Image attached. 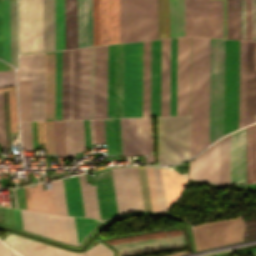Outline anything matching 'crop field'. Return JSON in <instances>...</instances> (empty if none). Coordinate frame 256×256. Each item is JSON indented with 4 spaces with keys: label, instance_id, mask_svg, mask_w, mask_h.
<instances>
[{
    "label": "crop field",
    "instance_id": "crop-field-16",
    "mask_svg": "<svg viewBox=\"0 0 256 256\" xmlns=\"http://www.w3.org/2000/svg\"><path fill=\"white\" fill-rule=\"evenodd\" d=\"M246 128L230 134V184L245 183Z\"/></svg>",
    "mask_w": 256,
    "mask_h": 256
},
{
    "label": "crop field",
    "instance_id": "crop-field-18",
    "mask_svg": "<svg viewBox=\"0 0 256 256\" xmlns=\"http://www.w3.org/2000/svg\"><path fill=\"white\" fill-rule=\"evenodd\" d=\"M161 40L151 41L150 116H160Z\"/></svg>",
    "mask_w": 256,
    "mask_h": 256
},
{
    "label": "crop field",
    "instance_id": "crop-field-54",
    "mask_svg": "<svg viewBox=\"0 0 256 256\" xmlns=\"http://www.w3.org/2000/svg\"><path fill=\"white\" fill-rule=\"evenodd\" d=\"M46 154H56L54 123H45Z\"/></svg>",
    "mask_w": 256,
    "mask_h": 256
},
{
    "label": "crop field",
    "instance_id": "crop-field-28",
    "mask_svg": "<svg viewBox=\"0 0 256 256\" xmlns=\"http://www.w3.org/2000/svg\"><path fill=\"white\" fill-rule=\"evenodd\" d=\"M256 182V124L247 128L246 183Z\"/></svg>",
    "mask_w": 256,
    "mask_h": 256
},
{
    "label": "crop field",
    "instance_id": "crop-field-23",
    "mask_svg": "<svg viewBox=\"0 0 256 256\" xmlns=\"http://www.w3.org/2000/svg\"><path fill=\"white\" fill-rule=\"evenodd\" d=\"M63 181L68 215L84 216L78 176Z\"/></svg>",
    "mask_w": 256,
    "mask_h": 256
},
{
    "label": "crop field",
    "instance_id": "crop-field-49",
    "mask_svg": "<svg viewBox=\"0 0 256 256\" xmlns=\"http://www.w3.org/2000/svg\"><path fill=\"white\" fill-rule=\"evenodd\" d=\"M51 185L56 213L67 215L61 179L51 182Z\"/></svg>",
    "mask_w": 256,
    "mask_h": 256
},
{
    "label": "crop field",
    "instance_id": "crop-field-15",
    "mask_svg": "<svg viewBox=\"0 0 256 256\" xmlns=\"http://www.w3.org/2000/svg\"><path fill=\"white\" fill-rule=\"evenodd\" d=\"M100 217L118 215L110 169L93 172Z\"/></svg>",
    "mask_w": 256,
    "mask_h": 256
},
{
    "label": "crop field",
    "instance_id": "crop-field-57",
    "mask_svg": "<svg viewBox=\"0 0 256 256\" xmlns=\"http://www.w3.org/2000/svg\"><path fill=\"white\" fill-rule=\"evenodd\" d=\"M144 127H145L146 164H153L149 118H144Z\"/></svg>",
    "mask_w": 256,
    "mask_h": 256
},
{
    "label": "crop field",
    "instance_id": "crop-field-71",
    "mask_svg": "<svg viewBox=\"0 0 256 256\" xmlns=\"http://www.w3.org/2000/svg\"><path fill=\"white\" fill-rule=\"evenodd\" d=\"M17 256H20V255L17 254Z\"/></svg>",
    "mask_w": 256,
    "mask_h": 256
},
{
    "label": "crop field",
    "instance_id": "crop-field-13",
    "mask_svg": "<svg viewBox=\"0 0 256 256\" xmlns=\"http://www.w3.org/2000/svg\"><path fill=\"white\" fill-rule=\"evenodd\" d=\"M108 46L96 47L95 118H107Z\"/></svg>",
    "mask_w": 256,
    "mask_h": 256
},
{
    "label": "crop field",
    "instance_id": "crop-field-21",
    "mask_svg": "<svg viewBox=\"0 0 256 256\" xmlns=\"http://www.w3.org/2000/svg\"><path fill=\"white\" fill-rule=\"evenodd\" d=\"M170 39L162 40L161 116L169 115Z\"/></svg>",
    "mask_w": 256,
    "mask_h": 256
},
{
    "label": "crop field",
    "instance_id": "crop-field-11",
    "mask_svg": "<svg viewBox=\"0 0 256 256\" xmlns=\"http://www.w3.org/2000/svg\"><path fill=\"white\" fill-rule=\"evenodd\" d=\"M169 37L184 35V0H168ZM167 0H158V38L168 37Z\"/></svg>",
    "mask_w": 256,
    "mask_h": 256
},
{
    "label": "crop field",
    "instance_id": "crop-field-65",
    "mask_svg": "<svg viewBox=\"0 0 256 256\" xmlns=\"http://www.w3.org/2000/svg\"><path fill=\"white\" fill-rule=\"evenodd\" d=\"M0 144L5 146L2 92H0Z\"/></svg>",
    "mask_w": 256,
    "mask_h": 256
},
{
    "label": "crop field",
    "instance_id": "crop-field-61",
    "mask_svg": "<svg viewBox=\"0 0 256 256\" xmlns=\"http://www.w3.org/2000/svg\"><path fill=\"white\" fill-rule=\"evenodd\" d=\"M153 211L159 212L152 168H146Z\"/></svg>",
    "mask_w": 256,
    "mask_h": 256
},
{
    "label": "crop field",
    "instance_id": "crop-field-60",
    "mask_svg": "<svg viewBox=\"0 0 256 256\" xmlns=\"http://www.w3.org/2000/svg\"><path fill=\"white\" fill-rule=\"evenodd\" d=\"M86 255L87 256H113L112 251H110L101 243L83 253H78L74 256H86Z\"/></svg>",
    "mask_w": 256,
    "mask_h": 256
},
{
    "label": "crop field",
    "instance_id": "crop-field-24",
    "mask_svg": "<svg viewBox=\"0 0 256 256\" xmlns=\"http://www.w3.org/2000/svg\"><path fill=\"white\" fill-rule=\"evenodd\" d=\"M21 213L25 231L51 239L47 214L25 210Z\"/></svg>",
    "mask_w": 256,
    "mask_h": 256
},
{
    "label": "crop field",
    "instance_id": "crop-field-6",
    "mask_svg": "<svg viewBox=\"0 0 256 256\" xmlns=\"http://www.w3.org/2000/svg\"><path fill=\"white\" fill-rule=\"evenodd\" d=\"M45 53L19 56L18 79L31 78V120H44Z\"/></svg>",
    "mask_w": 256,
    "mask_h": 256
},
{
    "label": "crop field",
    "instance_id": "crop-field-35",
    "mask_svg": "<svg viewBox=\"0 0 256 256\" xmlns=\"http://www.w3.org/2000/svg\"><path fill=\"white\" fill-rule=\"evenodd\" d=\"M246 41H240L239 128L245 125Z\"/></svg>",
    "mask_w": 256,
    "mask_h": 256
},
{
    "label": "crop field",
    "instance_id": "crop-field-39",
    "mask_svg": "<svg viewBox=\"0 0 256 256\" xmlns=\"http://www.w3.org/2000/svg\"><path fill=\"white\" fill-rule=\"evenodd\" d=\"M56 50L65 49L64 0H55Z\"/></svg>",
    "mask_w": 256,
    "mask_h": 256
},
{
    "label": "crop field",
    "instance_id": "crop-field-8",
    "mask_svg": "<svg viewBox=\"0 0 256 256\" xmlns=\"http://www.w3.org/2000/svg\"><path fill=\"white\" fill-rule=\"evenodd\" d=\"M178 232L179 230L142 234V235L106 240V242L110 244H114V243H120V242H126V241L164 236L167 234L178 233ZM165 244H167V246H165ZM112 246H114L119 251L120 255H123V254H131V253L153 251V250H160V249H167V248L182 247L185 245L181 238V234L178 233V234H172L170 236L114 244Z\"/></svg>",
    "mask_w": 256,
    "mask_h": 256
},
{
    "label": "crop field",
    "instance_id": "crop-field-50",
    "mask_svg": "<svg viewBox=\"0 0 256 256\" xmlns=\"http://www.w3.org/2000/svg\"><path fill=\"white\" fill-rule=\"evenodd\" d=\"M92 144L105 143L104 119L90 120Z\"/></svg>",
    "mask_w": 256,
    "mask_h": 256
},
{
    "label": "crop field",
    "instance_id": "crop-field-66",
    "mask_svg": "<svg viewBox=\"0 0 256 256\" xmlns=\"http://www.w3.org/2000/svg\"><path fill=\"white\" fill-rule=\"evenodd\" d=\"M133 171H134L139 207H140V210H144L137 168H133Z\"/></svg>",
    "mask_w": 256,
    "mask_h": 256
},
{
    "label": "crop field",
    "instance_id": "crop-field-63",
    "mask_svg": "<svg viewBox=\"0 0 256 256\" xmlns=\"http://www.w3.org/2000/svg\"><path fill=\"white\" fill-rule=\"evenodd\" d=\"M15 85L14 71L0 72V88Z\"/></svg>",
    "mask_w": 256,
    "mask_h": 256
},
{
    "label": "crop field",
    "instance_id": "crop-field-26",
    "mask_svg": "<svg viewBox=\"0 0 256 256\" xmlns=\"http://www.w3.org/2000/svg\"><path fill=\"white\" fill-rule=\"evenodd\" d=\"M166 207H168L179 195L184 183L185 178L177 175L172 170L160 169Z\"/></svg>",
    "mask_w": 256,
    "mask_h": 256
},
{
    "label": "crop field",
    "instance_id": "crop-field-41",
    "mask_svg": "<svg viewBox=\"0 0 256 256\" xmlns=\"http://www.w3.org/2000/svg\"><path fill=\"white\" fill-rule=\"evenodd\" d=\"M3 60L10 63L9 0H2Z\"/></svg>",
    "mask_w": 256,
    "mask_h": 256
},
{
    "label": "crop field",
    "instance_id": "crop-field-33",
    "mask_svg": "<svg viewBox=\"0 0 256 256\" xmlns=\"http://www.w3.org/2000/svg\"><path fill=\"white\" fill-rule=\"evenodd\" d=\"M227 38L240 39V0H226Z\"/></svg>",
    "mask_w": 256,
    "mask_h": 256
},
{
    "label": "crop field",
    "instance_id": "crop-field-34",
    "mask_svg": "<svg viewBox=\"0 0 256 256\" xmlns=\"http://www.w3.org/2000/svg\"><path fill=\"white\" fill-rule=\"evenodd\" d=\"M79 179L85 216L100 219L94 186H87L85 174Z\"/></svg>",
    "mask_w": 256,
    "mask_h": 256
},
{
    "label": "crop field",
    "instance_id": "crop-field-40",
    "mask_svg": "<svg viewBox=\"0 0 256 256\" xmlns=\"http://www.w3.org/2000/svg\"><path fill=\"white\" fill-rule=\"evenodd\" d=\"M52 239L69 243L65 216L48 214Z\"/></svg>",
    "mask_w": 256,
    "mask_h": 256
},
{
    "label": "crop field",
    "instance_id": "crop-field-51",
    "mask_svg": "<svg viewBox=\"0 0 256 256\" xmlns=\"http://www.w3.org/2000/svg\"><path fill=\"white\" fill-rule=\"evenodd\" d=\"M2 241L9 245L11 248H13L16 252L35 242L28 238L14 235L11 233Z\"/></svg>",
    "mask_w": 256,
    "mask_h": 256
},
{
    "label": "crop field",
    "instance_id": "crop-field-22",
    "mask_svg": "<svg viewBox=\"0 0 256 256\" xmlns=\"http://www.w3.org/2000/svg\"><path fill=\"white\" fill-rule=\"evenodd\" d=\"M241 39L256 40V0H241Z\"/></svg>",
    "mask_w": 256,
    "mask_h": 256
},
{
    "label": "crop field",
    "instance_id": "crop-field-17",
    "mask_svg": "<svg viewBox=\"0 0 256 256\" xmlns=\"http://www.w3.org/2000/svg\"><path fill=\"white\" fill-rule=\"evenodd\" d=\"M192 161L189 166L191 178ZM192 178L218 183V142L193 159Z\"/></svg>",
    "mask_w": 256,
    "mask_h": 256
},
{
    "label": "crop field",
    "instance_id": "crop-field-10",
    "mask_svg": "<svg viewBox=\"0 0 256 256\" xmlns=\"http://www.w3.org/2000/svg\"><path fill=\"white\" fill-rule=\"evenodd\" d=\"M111 171L119 215L139 210L132 168Z\"/></svg>",
    "mask_w": 256,
    "mask_h": 256
},
{
    "label": "crop field",
    "instance_id": "crop-field-62",
    "mask_svg": "<svg viewBox=\"0 0 256 256\" xmlns=\"http://www.w3.org/2000/svg\"><path fill=\"white\" fill-rule=\"evenodd\" d=\"M94 46L99 45L98 0H93Z\"/></svg>",
    "mask_w": 256,
    "mask_h": 256
},
{
    "label": "crop field",
    "instance_id": "crop-field-42",
    "mask_svg": "<svg viewBox=\"0 0 256 256\" xmlns=\"http://www.w3.org/2000/svg\"><path fill=\"white\" fill-rule=\"evenodd\" d=\"M170 115H176V38L171 39Z\"/></svg>",
    "mask_w": 256,
    "mask_h": 256
},
{
    "label": "crop field",
    "instance_id": "crop-field-3",
    "mask_svg": "<svg viewBox=\"0 0 256 256\" xmlns=\"http://www.w3.org/2000/svg\"><path fill=\"white\" fill-rule=\"evenodd\" d=\"M142 116V42L124 44L123 117Z\"/></svg>",
    "mask_w": 256,
    "mask_h": 256
},
{
    "label": "crop field",
    "instance_id": "crop-field-45",
    "mask_svg": "<svg viewBox=\"0 0 256 256\" xmlns=\"http://www.w3.org/2000/svg\"><path fill=\"white\" fill-rule=\"evenodd\" d=\"M74 219L79 245L95 228H97L101 223H103L102 221H96L85 218L74 217Z\"/></svg>",
    "mask_w": 256,
    "mask_h": 256
},
{
    "label": "crop field",
    "instance_id": "crop-field-4",
    "mask_svg": "<svg viewBox=\"0 0 256 256\" xmlns=\"http://www.w3.org/2000/svg\"><path fill=\"white\" fill-rule=\"evenodd\" d=\"M239 41L225 39L224 135L238 128Z\"/></svg>",
    "mask_w": 256,
    "mask_h": 256
},
{
    "label": "crop field",
    "instance_id": "crop-field-9",
    "mask_svg": "<svg viewBox=\"0 0 256 256\" xmlns=\"http://www.w3.org/2000/svg\"><path fill=\"white\" fill-rule=\"evenodd\" d=\"M123 44L109 46L108 118L122 117Z\"/></svg>",
    "mask_w": 256,
    "mask_h": 256
},
{
    "label": "crop field",
    "instance_id": "crop-field-5",
    "mask_svg": "<svg viewBox=\"0 0 256 256\" xmlns=\"http://www.w3.org/2000/svg\"><path fill=\"white\" fill-rule=\"evenodd\" d=\"M19 54L43 51L42 0H18Z\"/></svg>",
    "mask_w": 256,
    "mask_h": 256
},
{
    "label": "crop field",
    "instance_id": "crop-field-12",
    "mask_svg": "<svg viewBox=\"0 0 256 256\" xmlns=\"http://www.w3.org/2000/svg\"><path fill=\"white\" fill-rule=\"evenodd\" d=\"M185 35L210 36V0H185Z\"/></svg>",
    "mask_w": 256,
    "mask_h": 256
},
{
    "label": "crop field",
    "instance_id": "crop-field-48",
    "mask_svg": "<svg viewBox=\"0 0 256 256\" xmlns=\"http://www.w3.org/2000/svg\"><path fill=\"white\" fill-rule=\"evenodd\" d=\"M211 36L216 37V1L211 0ZM217 37H222V1H217Z\"/></svg>",
    "mask_w": 256,
    "mask_h": 256
},
{
    "label": "crop field",
    "instance_id": "crop-field-44",
    "mask_svg": "<svg viewBox=\"0 0 256 256\" xmlns=\"http://www.w3.org/2000/svg\"><path fill=\"white\" fill-rule=\"evenodd\" d=\"M95 47L89 48V118H94Z\"/></svg>",
    "mask_w": 256,
    "mask_h": 256
},
{
    "label": "crop field",
    "instance_id": "crop-field-70",
    "mask_svg": "<svg viewBox=\"0 0 256 256\" xmlns=\"http://www.w3.org/2000/svg\"><path fill=\"white\" fill-rule=\"evenodd\" d=\"M12 191H13V196H14V200H15V205H16V207L18 208V206H17V201H16V196H15V191H14V189H12Z\"/></svg>",
    "mask_w": 256,
    "mask_h": 256
},
{
    "label": "crop field",
    "instance_id": "crop-field-20",
    "mask_svg": "<svg viewBox=\"0 0 256 256\" xmlns=\"http://www.w3.org/2000/svg\"><path fill=\"white\" fill-rule=\"evenodd\" d=\"M78 47L93 46L92 0H77Z\"/></svg>",
    "mask_w": 256,
    "mask_h": 256
},
{
    "label": "crop field",
    "instance_id": "crop-field-56",
    "mask_svg": "<svg viewBox=\"0 0 256 256\" xmlns=\"http://www.w3.org/2000/svg\"><path fill=\"white\" fill-rule=\"evenodd\" d=\"M138 171L145 210L152 211L145 168H138Z\"/></svg>",
    "mask_w": 256,
    "mask_h": 256
},
{
    "label": "crop field",
    "instance_id": "crop-field-30",
    "mask_svg": "<svg viewBox=\"0 0 256 256\" xmlns=\"http://www.w3.org/2000/svg\"><path fill=\"white\" fill-rule=\"evenodd\" d=\"M66 49L77 47L76 0H65Z\"/></svg>",
    "mask_w": 256,
    "mask_h": 256
},
{
    "label": "crop field",
    "instance_id": "crop-field-46",
    "mask_svg": "<svg viewBox=\"0 0 256 256\" xmlns=\"http://www.w3.org/2000/svg\"><path fill=\"white\" fill-rule=\"evenodd\" d=\"M10 31H11V64L16 68L17 60V28H16V1L10 0Z\"/></svg>",
    "mask_w": 256,
    "mask_h": 256
},
{
    "label": "crop field",
    "instance_id": "crop-field-14",
    "mask_svg": "<svg viewBox=\"0 0 256 256\" xmlns=\"http://www.w3.org/2000/svg\"><path fill=\"white\" fill-rule=\"evenodd\" d=\"M100 45L119 43L118 0H99Z\"/></svg>",
    "mask_w": 256,
    "mask_h": 256
},
{
    "label": "crop field",
    "instance_id": "crop-field-69",
    "mask_svg": "<svg viewBox=\"0 0 256 256\" xmlns=\"http://www.w3.org/2000/svg\"><path fill=\"white\" fill-rule=\"evenodd\" d=\"M239 186L246 187V188H251V189H256V184H253V185H239Z\"/></svg>",
    "mask_w": 256,
    "mask_h": 256
},
{
    "label": "crop field",
    "instance_id": "crop-field-47",
    "mask_svg": "<svg viewBox=\"0 0 256 256\" xmlns=\"http://www.w3.org/2000/svg\"><path fill=\"white\" fill-rule=\"evenodd\" d=\"M55 119H61V51L56 52Z\"/></svg>",
    "mask_w": 256,
    "mask_h": 256
},
{
    "label": "crop field",
    "instance_id": "crop-field-55",
    "mask_svg": "<svg viewBox=\"0 0 256 256\" xmlns=\"http://www.w3.org/2000/svg\"><path fill=\"white\" fill-rule=\"evenodd\" d=\"M64 129H65L66 156H72L75 158L74 145H73L72 120L64 121Z\"/></svg>",
    "mask_w": 256,
    "mask_h": 256
},
{
    "label": "crop field",
    "instance_id": "crop-field-58",
    "mask_svg": "<svg viewBox=\"0 0 256 256\" xmlns=\"http://www.w3.org/2000/svg\"><path fill=\"white\" fill-rule=\"evenodd\" d=\"M57 155H65L63 121H55Z\"/></svg>",
    "mask_w": 256,
    "mask_h": 256
},
{
    "label": "crop field",
    "instance_id": "crop-field-64",
    "mask_svg": "<svg viewBox=\"0 0 256 256\" xmlns=\"http://www.w3.org/2000/svg\"><path fill=\"white\" fill-rule=\"evenodd\" d=\"M66 218H67L70 242L71 244L78 246L73 217L66 216Z\"/></svg>",
    "mask_w": 256,
    "mask_h": 256
},
{
    "label": "crop field",
    "instance_id": "crop-field-19",
    "mask_svg": "<svg viewBox=\"0 0 256 256\" xmlns=\"http://www.w3.org/2000/svg\"><path fill=\"white\" fill-rule=\"evenodd\" d=\"M73 50L62 51V119H72Z\"/></svg>",
    "mask_w": 256,
    "mask_h": 256
},
{
    "label": "crop field",
    "instance_id": "crop-field-32",
    "mask_svg": "<svg viewBox=\"0 0 256 256\" xmlns=\"http://www.w3.org/2000/svg\"><path fill=\"white\" fill-rule=\"evenodd\" d=\"M88 118V48L81 49L80 119Z\"/></svg>",
    "mask_w": 256,
    "mask_h": 256
},
{
    "label": "crop field",
    "instance_id": "crop-field-53",
    "mask_svg": "<svg viewBox=\"0 0 256 256\" xmlns=\"http://www.w3.org/2000/svg\"><path fill=\"white\" fill-rule=\"evenodd\" d=\"M11 133L18 132L15 89L8 91Z\"/></svg>",
    "mask_w": 256,
    "mask_h": 256
},
{
    "label": "crop field",
    "instance_id": "crop-field-25",
    "mask_svg": "<svg viewBox=\"0 0 256 256\" xmlns=\"http://www.w3.org/2000/svg\"><path fill=\"white\" fill-rule=\"evenodd\" d=\"M55 53L46 54L45 118H54Z\"/></svg>",
    "mask_w": 256,
    "mask_h": 256
},
{
    "label": "crop field",
    "instance_id": "crop-field-38",
    "mask_svg": "<svg viewBox=\"0 0 256 256\" xmlns=\"http://www.w3.org/2000/svg\"><path fill=\"white\" fill-rule=\"evenodd\" d=\"M219 183L229 184V135L219 140Z\"/></svg>",
    "mask_w": 256,
    "mask_h": 256
},
{
    "label": "crop field",
    "instance_id": "crop-field-7",
    "mask_svg": "<svg viewBox=\"0 0 256 256\" xmlns=\"http://www.w3.org/2000/svg\"><path fill=\"white\" fill-rule=\"evenodd\" d=\"M197 251L237 243L243 233V219H232L192 227ZM213 234V235H211Z\"/></svg>",
    "mask_w": 256,
    "mask_h": 256
},
{
    "label": "crop field",
    "instance_id": "crop-field-27",
    "mask_svg": "<svg viewBox=\"0 0 256 256\" xmlns=\"http://www.w3.org/2000/svg\"><path fill=\"white\" fill-rule=\"evenodd\" d=\"M44 51L55 50L54 0H43Z\"/></svg>",
    "mask_w": 256,
    "mask_h": 256
},
{
    "label": "crop field",
    "instance_id": "crop-field-59",
    "mask_svg": "<svg viewBox=\"0 0 256 256\" xmlns=\"http://www.w3.org/2000/svg\"><path fill=\"white\" fill-rule=\"evenodd\" d=\"M153 171H154V177H155V184H156V190H157V196H158L159 209H160V212L165 213L166 207H165V201H164L160 171H159V169H154V168H153Z\"/></svg>",
    "mask_w": 256,
    "mask_h": 256
},
{
    "label": "crop field",
    "instance_id": "crop-field-52",
    "mask_svg": "<svg viewBox=\"0 0 256 256\" xmlns=\"http://www.w3.org/2000/svg\"><path fill=\"white\" fill-rule=\"evenodd\" d=\"M75 152L85 149L83 120H73Z\"/></svg>",
    "mask_w": 256,
    "mask_h": 256
},
{
    "label": "crop field",
    "instance_id": "crop-field-29",
    "mask_svg": "<svg viewBox=\"0 0 256 256\" xmlns=\"http://www.w3.org/2000/svg\"><path fill=\"white\" fill-rule=\"evenodd\" d=\"M107 155L122 154L120 119H105Z\"/></svg>",
    "mask_w": 256,
    "mask_h": 256
},
{
    "label": "crop field",
    "instance_id": "crop-field-68",
    "mask_svg": "<svg viewBox=\"0 0 256 256\" xmlns=\"http://www.w3.org/2000/svg\"><path fill=\"white\" fill-rule=\"evenodd\" d=\"M0 58L2 59L1 0H0Z\"/></svg>",
    "mask_w": 256,
    "mask_h": 256
},
{
    "label": "crop field",
    "instance_id": "crop-field-37",
    "mask_svg": "<svg viewBox=\"0 0 256 256\" xmlns=\"http://www.w3.org/2000/svg\"><path fill=\"white\" fill-rule=\"evenodd\" d=\"M22 256H72L76 253L50 247L41 243H34L27 248L17 252Z\"/></svg>",
    "mask_w": 256,
    "mask_h": 256
},
{
    "label": "crop field",
    "instance_id": "crop-field-43",
    "mask_svg": "<svg viewBox=\"0 0 256 256\" xmlns=\"http://www.w3.org/2000/svg\"><path fill=\"white\" fill-rule=\"evenodd\" d=\"M80 49L74 50L73 119H79Z\"/></svg>",
    "mask_w": 256,
    "mask_h": 256
},
{
    "label": "crop field",
    "instance_id": "crop-field-31",
    "mask_svg": "<svg viewBox=\"0 0 256 256\" xmlns=\"http://www.w3.org/2000/svg\"><path fill=\"white\" fill-rule=\"evenodd\" d=\"M29 188L32 210L55 213L51 190L42 191L41 183Z\"/></svg>",
    "mask_w": 256,
    "mask_h": 256
},
{
    "label": "crop field",
    "instance_id": "crop-field-2",
    "mask_svg": "<svg viewBox=\"0 0 256 256\" xmlns=\"http://www.w3.org/2000/svg\"><path fill=\"white\" fill-rule=\"evenodd\" d=\"M120 43L157 38V0H119Z\"/></svg>",
    "mask_w": 256,
    "mask_h": 256
},
{
    "label": "crop field",
    "instance_id": "crop-field-36",
    "mask_svg": "<svg viewBox=\"0 0 256 256\" xmlns=\"http://www.w3.org/2000/svg\"><path fill=\"white\" fill-rule=\"evenodd\" d=\"M150 41L143 42V116H149Z\"/></svg>",
    "mask_w": 256,
    "mask_h": 256
},
{
    "label": "crop field",
    "instance_id": "crop-field-1",
    "mask_svg": "<svg viewBox=\"0 0 256 256\" xmlns=\"http://www.w3.org/2000/svg\"><path fill=\"white\" fill-rule=\"evenodd\" d=\"M224 39L192 37L191 156L223 135Z\"/></svg>",
    "mask_w": 256,
    "mask_h": 256
},
{
    "label": "crop field",
    "instance_id": "crop-field-67",
    "mask_svg": "<svg viewBox=\"0 0 256 256\" xmlns=\"http://www.w3.org/2000/svg\"><path fill=\"white\" fill-rule=\"evenodd\" d=\"M0 256H15V253L0 241Z\"/></svg>",
    "mask_w": 256,
    "mask_h": 256
}]
</instances>
